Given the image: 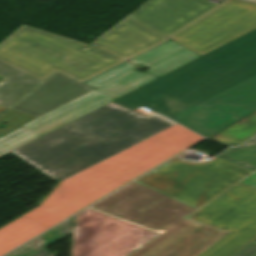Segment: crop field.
Wrapping results in <instances>:
<instances>
[{
    "mask_svg": "<svg viewBox=\"0 0 256 256\" xmlns=\"http://www.w3.org/2000/svg\"><path fill=\"white\" fill-rule=\"evenodd\" d=\"M71 228L72 222L66 221L6 256H57L51 254L45 248L71 234Z\"/></svg>",
    "mask_w": 256,
    "mask_h": 256,
    "instance_id": "obj_15",
    "label": "crop field"
},
{
    "mask_svg": "<svg viewBox=\"0 0 256 256\" xmlns=\"http://www.w3.org/2000/svg\"><path fill=\"white\" fill-rule=\"evenodd\" d=\"M105 106H145L214 135L256 110V29Z\"/></svg>",
    "mask_w": 256,
    "mask_h": 256,
    "instance_id": "obj_2",
    "label": "crop field"
},
{
    "mask_svg": "<svg viewBox=\"0 0 256 256\" xmlns=\"http://www.w3.org/2000/svg\"><path fill=\"white\" fill-rule=\"evenodd\" d=\"M112 100L114 99L101 92L93 90L25 124L23 127L42 136L51 130Z\"/></svg>",
    "mask_w": 256,
    "mask_h": 256,
    "instance_id": "obj_10",
    "label": "crop field"
},
{
    "mask_svg": "<svg viewBox=\"0 0 256 256\" xmlns=\"http://www.w3.org/2000/svg\"><path fill=\"white\" fill-rule=\"evenodd\" d=\"M40 136L24 129L19 128L0 138V156L38 138Z\"/></svg>",
    "mask_w": 256,
    "mask_h": 256,
    "instance_id": "obj_18",
    "label": "crop field"
},
{
    "mask_svg": "<svg viewBox=\"0 0 256 256\" xmlns=\"http://www.w3.org/2000/svg\"><path fill=\"white\" fill-rule=\"evenodd\" d=\"M158 234L88 208L73 217L71 256H126Z\"/></svg>",
    "mask_w": 256,
    "mask_h": 256,
    "instance_id": "obj_6",
    "label": "crop field"
},
{
    "mask_svg": "<svg viewBox=\"0 0 256 256\" xmlns=\"http://www.w3.org/2000/svg\"><path fill=\"white\" fill-rule=\"evenodd\" d=\"M233 256H256V241L251 242Z\"/></svg>",
    "mask_w": 256,
    "mask_h": 256,
    "instance_id": "obj_20",
    "label": "crop field"
},
{
    "mask_svg": "<svg viewBox=\"0 0 256 256\" xmlns=\"http://www.w3.org/2000/svg\"><path fill=\"white\" fill-rule=\"evenodd\" d=\"M90 208L161 233L128 256H196L226 233L183 219L193 210L134 182Z\"/></svg>",
    "mask_w": 256,
    "mask_h": 256,
    "instance_id": "obj_5",
    "label": "crop field"
},
{
    "mask_svg": "<svg viewBox=\"0 0 256 256\" xmlns=\"http://www.w3.org/2000/svg\"><path fill=\"white\" fill-rule=\"evenodd\" d=\"M93 90L59 72H55L11 109L39 117Z\"/></svg>",
    "mask_w": 256,
    "mask_h": 256,
    "instance_id": "obj_9",
    "label": "crop field"
},
{
    "mask_svg": "<svg viewBox=\"0 0 256 256\" xmlns=\"http://www.w3.org/2000/svg\"><path fill=\"white\" fill-rule=\"evenodd\" d=\"M198 57L200 56L169 40L129 61L151 68L147 72L160 77Z\"/></svg>",
    "mask_w": 256,
    "mask_h": 256,
    "instance_id": "obj_12",
    "label": "crop field"
},
{
    "mask_svg": "<svg viewBox=\"0 0 256 256\" xmlns=\"http://www.w3.org/2000/svg\"><path fill=\"white\" fill-rule=\"evenodd\" d=\"M35 118L36 117L30 116V115H27L24 113L12 111V110L6 112L4 115H2L0 117V123L4 122L9 125L3 129L0 128V136L7 133L8 131L22 125V124H25V123L35 119Z\"/></svg>",
    "mask_w": 256,
    "mask_h": 256,
    "instance_id": "obj_19",
    "label": "crop field"
},
{
    "mask_svg": "<svg viewBox=\"0 0 256 256\" xmlns=\"http://www.w3.org/2000/svg\"><path fill=\"white\" fill-rule=\"evenodd\" d=\"M135 182L196 210L185 219L228 232L197 256H231L256 239V171L172 159Z\"/></svg>",
    "mask_w": 256,
    "mask_h": 256,
    "instance_id": "obj_3",
    "label": "crop field"
},
{
    "mask_svg": "<svg viewBox=\"0 0 256 256\" xmlns=\"http://www.w3.org/2000/svg\"><path fill=\"white\" fill-rule=\"evenodd\" d=\"M226 1L170 39L203 55L256 28V5Z\"/></svg>",
    "mask_w": 256,
    "mask_h": 256,
    "instance_id": "obj_7",
    "label": "crop field"
},
{
    "mask_svg": "<svg viewBox=\"0 0 256 256\" xmlns=\"http://www.w3.org/2000/svg\"><path fill=\"white\" fill-rule=\"evenodd\" d=\"M252 140H255V141H256V137H255V138H253Z\"/></svg>",
    "mask_w": 256,
    "mask_h": 256,
    "instance_id": "obj_22",
    "label": "crop field"
},
{
    "mask_svg": "<svg viewBox=\"0 0 256 256\" xmlns=\"http://www.w3.org/2000/svg\"><path fill=\"white\" fill-rule=\"evenodd\" d=\"M0 75L5 77L0 82V106L12 107L31 90L38 86L40 81L0 62Z\"/></svg>",
    "mask_w": 256,
    "mask_h": 256,
    "instance_id": "obj_13",
    "label": "crop field"
},
{
    "mask_svg": "<svg viewBox=\"0 0 256 256\" xmlns=\"http://www.w3.org/2000/svg\"><path fill=\"white\" fill-rule=\"evenodd\" d=\"M202 139L161 115L101 106L11 152L59 183L24 216L50 228Z\"/></svg>",
    "mask_w": 256,
    "mask_h": 256,
    "instance_id": "obj_1",
    "label": "crop field"
},
{
    "mask_svg": "<svg viewBox=\"0 0 256 256\" xmlns=\"http://www.w3.org/2000/svg\"><path fill=\"white\" fill-rule=\"evenodd\" d=\"M220 4L207 0H149L128 16L170 36Z\"/></svg>",
    "mask_w": 256,
    "mask_h": 256,
    "instance_id": "obj_8",
    "label": "crop field"
},
{
    "mask_svg": "<svg viewBox=\"0 0 256 256\" xmlns=\"http://www.w3.org/2000/svg\"><path fill=\"white\" fill-rule=\"evenodd\" d=\"M217 157L249 169H256V142L248 141L237 148H231Z\"/></svg>",
    "mask_w": 256,
    "mask_h": 256,
    "instance_id": "obj_17",
    "label": "crop field"
},
{
    "mask_svg": "<svg viewBox=\"0 0 256 256\" xmlns=\"http://www.w3.org/2000/svg\"><path fill=\"white\" fill-rule=\"evenodd\" d=\"M242 1H247V2L256 3V0H242Z\"/></svg>",
    "mask_w": 256,
    "mask_h": 256,
    "instance_id": "obj_21",
    "label": "crop field"
},
{
    "mask_svg": "<svg viewBox=\"0 0 256 256\" xmlns=\"http://www.w3.org/2000/svg\"><path fill=\"white\" fill-rule=\"evenodd\" d=\"M254 135H256V111L210 138L235 146Z\"/></svg>",
    "mask_w": 256,
    "mask_h": 256,
    "instance_id": "obj_16",
    "label": "crop field"
},
{
    "mask_svg": "<svg viewBox=\"0 0 256 256\" xmlns=\"http://www.w3.org/2000/svg\"><path fill=\"white\" fill-rule=\"evenodd\" d=\"M47 229L24 216L0 228V256Z\"/></svg>",
    "mask_w": 256,
    "mask_h": 256,
    "instance_id": "obj_14",
    "label": "crop field"
},
{
    "mask_svg": "<svg viewBox=\"0 0 256 256\" xmlns=\"http://www.w3.org/2000/svg\"><path fill=\"white\" fill-rule=\"evenodd\" d=\"M154 79L156 78L153 75H145L137 72L135 71L134 65L125 62L84 84L90 87H97L95 90L101 91L116 99Z\"/></svg>",
    "mask_w": 256,
    "mask_h": 256,
    "instance_id": "obj_11",
    "label": "crop field"
},
{
    "mask_svg": "<svg viewBox=\"0 0 256 256\" xmlns=\"http://www.w3.org/2000/svg\"><path fill=\"white\" fill-rule=\"evenodd\" d=\"M165 39L134 19L125 17L92 44L128 59ZM85 46L22 25L0 43V61L41 81L55 69L82 81L123 61L95 47L83 50Z\"/></svg>",
    "mask_w": 256,
    "mask_h": 256,
    "instance_id": "obj_4",
    "label": "crop field"
}]
</instances>
